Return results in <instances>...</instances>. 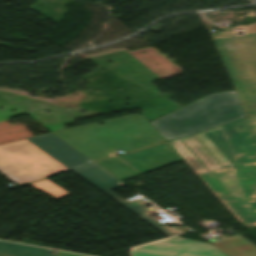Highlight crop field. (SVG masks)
I'll return each instance as SVG.
<instances>
[{
    "label": "crop field",
    "instance_id": "obj_13",
    "mask_svg": "<svg viewBox=\"0 0 256 256\" xmlns=\"http://www.w3.org/2000/svg\"><path fill=\"white\" fill-rule=\"evenodd\" d=\"M28 185L48 194L56 199L70 195L68 192L64 191L62 188H60L58 185H56L54 182H52L48 178L33 182Z\"/></svg>",
    "mask_w": 256,
    "mask_h": 256
},
{
    "label": "crop field",
    "instance_id": "obj_12",
    "mask_svg": "<svg viewBox=\"0 0 256 256\" xmlns=\"http://www.w3.org/2000/svg\"><path fill=\"white\" fill-rule=\"evenodd\" d=\"M97 164L113 174L121 181L139 175L136 171L131 169L129 166H127L116 157L108 160L99 161L97 162Z\"/></svg>",
    "mask_w": 256,
    "mask_h": 256
},
{
    "label": "crop field",
    "instance_id": "obj_14",
    "mask_svg": "<svg viewBox=\"0 0 256 256\" xmlns=\"http://www.w3.org/2000/svg\"><path fill=\"white\" fill-rule=\"evenodd\" d=\"M235 28H245L246 29V33L256 32V23L249 24V25H246L244 27L239 26V27H235Z\"/></svg>",
    "mask_w": 256,
    "mask_h": 256
},
{
    "label": "crop field",
    "instance_id": "obj_19",
    "mask_svg": "<svg viewBox=\"0 0 256 256\" xmlns=\"http://www.w3.org/2000/svg\"><path fill=\"white\" fill-rule=\"evenodd\" d=\"M0 256H4V255H0Z\"/></svg>",
    "mask_w": 256,
    "mask_h": 256
},
{
    "label": "crop field",
    "instance_id": "obj_18",
    "mask_svg": "<svg viewBox=\"0 0 256 256\" xmlns=\"http://www.w3.org/2000/svg\"><path fill=\"white\" fill-rule=\"evenodd\" d=\"M221 30H223V31H225L226 33H228V32H230V31H232V30H234V29H230V28H228V27L225 26V28H224V29L222 28Z\"/></svg>",
    "mask_w": 256,
    "mask_h": 256
},
{
    "label": "crop field",
    "instance_id": "obj_11",
    "mask_svg": "<svg viewBox=\"0 0 256 256\" xmlns=\"http://www.w3.org/2000/svg\"><path fill=\"white\" fill-rule=\"evenodd\" d=\"M51 251L29 245L0 241V254L10 256H55Z\"/></svg>",
    "mask_w": 256,
    "mask_h": 256
},
{
    "label": "crop field",
    "instance_id": "obj_4",
    "mask_svg": "<svg viewBox=\"0 0 256 256\" xmlns=\"http://www.w3.org/2000/svg\"><path fill=\"white\" fill-rule=\"evenodd\" d=\"M236 31V30H234ZM212 39L249 116L256 115V34Z\"/></svg>",
    "mask_w": 256,
    "mask_h": 256
},
{
    "label": "crop field",
    "instance_id": "obj_17",
    "mask_svg": "<svg viewBox=\"0 0 256 256\" xmlns=\"http://www.w3.org/2000/svg\"><path fill=\"white\" fill-rule=\"evenodd\" d=\"M228 34L220 31V32H217V33H214V34H211V37L212 38H215V37H221V36H227Z\"/></svg>",
    "mask_w": 256,
    "mask_h": 256
},
{
    "label": "crop field",
    "instance_id": "obj_10",
    "mask_svg": "<svg viewBox=\"0 0 256 256\" xmlns=\"http://www.w3.org/2000/svg\"><path fill=\"white\" fill-rule=\"evenodd\" d=\"M210 243L229 256H256V247L239 235L222 237L218 243Z\"/></svg>",
    "mask_w": 256,
    "mask_h": 256
},
{
    "label": "crop field",
    "instance_id": "obj_5",
    "mask_svg": "<svg viewBox=\"0 0 256 256\" xmlns=\"http://www.w3.org/2000/svg\"><path fill=\"white\" fill-rule=\"evenodd\" d=\"M66 171L26 139L0 145V172L18 185Z\"/></svg>",
    "mask_w": 256,
    "mask_h": 256
},
{
    "label": "crop field",
    "instance_id": "obj_3",
    "mask_svg": "<svg viewBox=\"0 0 256 256\" xmlns=\"http://www.w3.org/2000/svg\"><path fill=\"white\" fill-rule=\"evenodd\" d=\"M245 116L235 92L231 91L209 95L150 124L169 140Z\"/></svg>",
    "mask_w": 256,
    "mask_h": 256
},
{
    "label": "crop field",
    "instance_id": "obj_8",
    "mask_svg": "<svg viewBox=\"0 0 256 256\" xmlns=\"http://www.w3.org/2000/svg\"><path fill=\"white\" fill-rule=\"evenodd\" d=\"M119 158L141 174L181 160L167 143L119 156Z\"/></svg>",
    "mask_w": 256,
    "mask_h": 256
},
{
    "label": "crop field",
    "instance_id": "obj_9",
    "mask_svg": "<svg viewBox=\"0 0 256 256\" xmlns=\"http://www.w3.org/2000/svg\"><path fill=\"white\" fill-rule=\"evenodd\" d=\"M27 140L70 170L91 162L52 133L28 138Z\"/></svg>",
    "mask_w": 256,
    "mask_h": 256
},
{
    "label": "crop field",
    "instance_id": "obj_7",
    "mask_svg": "<svg viewBox=\"0 0 256 256\" xmlns=\"http://www.w3.org/2000/svg\"><path fill=\"white\" fill-rule=\"evenodd\" d=\"M132 256H226L209 243L178 236L132 249Z\"/></svg>",
    "mask_w": 256,
    "mask_h": 256
},
{
    "label": "crop field",
    "instance_id": "obj_1",
    "mask_svg": "<svg viewBox=\"0 0 256 256\" xmlns=\"http://www.w3.org/2000/svg\"><path fill=\"white\" fill-rule=\"evenodd\" d=\"M242 224H256V135L248 118L167 142Z\"/></svg>",
    "mask_w": 256,
    "mask_h": 256
},
{
    "label": "crop field",
    "instance_id": "obj_2",
    "mask_svg": "<svg viewBox=\"0 0 256 256\" xmlns=\"http://www.w3.org/2000/svg\"><path fill=\"white\" fill-rule=\"evenodd\" d=\"M53 132L91 161L115 156L120 148L128 152L165 141L138 114Z\"/></svg>",
    "mask_w": 256,
    "mask_h": 256
},
{
    "label": "crop field",
    "instance_id": "obj_15",
    "mask_svg": "<svg viewBox=\"0 0 256 256\" xmlns=\"http://www.w3.org/2000/svg\"><path fill=\"white\" fill-rule=\"evenodd\" d=\"M56 256H83V255H78V254H72V253L59 251Z\"/></svg>",
    "mask_w": 256,
    "mask_h": 256
},
{
    "label": "crop field",
    "instance_id": "obj_16",
    "mask_svg": "<svg viewBox=\"0 0 256 256\" xmlns=\"http://www.w3.org/2000/svg\"><path fill=\"white\" fill-rule=\"evenodd\" d=\"M256 133V116L248 117Z\"/></svg>",
    "mask_w": 256,
    "mask_h": 256
},
{
    "label": "crop field",
    "instance_id": "obj_6",
    "mask_svg": "<svg viewBox=\"0 0 256 256\" xmlns=\"http://www.w3.org/2000/svg\"><path fill=\"white\" fill-rule=\"evenodd\" d=\"M80 177L85 179L87 182L92 184L98 190L103 192L105 195L113 199L115 202L123 206L125 209L133 213L135 216L146 222L148 225L159 231L164 236L168 237L177 234L167 224H160L151 217L148 216L147 212H153L151 209L136 201L128 204L118 195L111 190L125 186L120 180L115 178L113 175L102 169L97 164L93 163L85 167L73 170Z\"/></svg>",
    "mask_w": 256,
    "mask_h": 256
}]
</instances>
